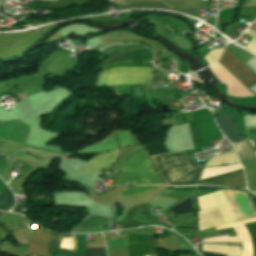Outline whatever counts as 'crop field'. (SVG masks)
<instances>
[{
	"instance_id": "crop-field-1",
	"label": "crop field",
	"mask_w": 256,
	"mask_h": 256,
	"mask_svg": "<svg viewBox=\"0 0 256 256\" xmlns=\"http://www.w3.org/2000/svg\"><path fill=\"white\" fill-rule=\"evenodd\" d=\"M220 192L234 221L256 217V209L247 193L230 190H221ZM220 192L198 197V206L200 210L217 207L223 222H231L233 220Z\"/></svg>"
},
{
	"instance_id": "crop-field-2",
	"label": "crop field",
	"mask_w": 256,
	"mask_h": 256,
	"mask_svg": "<svg viewBox=\"0 0 256 256\" xmlns=\"http://www.w3.org/2000/svg\"><path fill=\"white\" fill-rule=\"evenodd\" d=\"M152 159L168 185L196 184L201 174L200 165L183 151L153 156Z\"/></svg>"
},
{
	"instance_id": "crop-field-3",
	"label": "crop field",
	"mask_w": 256,
	"mask_h": 256,
	"mask_svg": "<svg viewBox=\"0 0 256 256\" xmlns=\"http://www.w3.org/2000/svg\"><path fill=\"white\" fill-rule=\"evenodd\" d=\"M143 147H139L122 161V175L113 183H159Z\"/></svg>"
},
{
	"instance_id": "crop-field-4",
	"label": "crop field",
	"mask_w": 256,
	"mask_h": 256,
	"mask_svg": "<svg viewBox=\"0 0 256 256\" xmlns=\"http://www.w3.org/2000/svg\"><path fill=\"white\" fill-rule=\"evenodd\" d=\"M152 85V73L145 67H119L102 70L97 85Z\"/></svg>"
},
{
	"instance_id": "crop-field-5",
	"label": "crop field",
	"mask_w": 256,
	"mask_h": 256,
	"mask_svg": "<svg viewBox=\"0 0 256 256\" xmlns=\"http://www.w3.org/2000/svg\"><path fill=\"white\" fill-rule=\"evenodd\" d=\"M245 171L248 189L256 193V149L254 140L233 144Z\"/></svg>"
},
{
	"instance_id": "crop-field-6",
	"label": "crop field",
	"mask_w": 256,
	"mask_h": 256,
	"mask_svg": "<svg viewBox=\"0 0 256 256\" xmlns=\"http://www.w3.org/2000/svg\"><path fill=\"white\" fill-rule=\"evenodd\" d=\"M256 218L241 220L231 223H226L220 226H216L215 229H223L233 227L237 236L242 241V253L241 256H252V248H251V239L252 238V247H253V256H256V222L247 224L246 227L250 232V235L244 224L254 222Z\"/></svg>"
},
{
	"instance_id": "crop-field-7",
	"label": "crop field",
	"mask_w": 256,
	"mask_h": 256,
	"mask_svg": "<svg viewBox=\"0 0 256 256\" xmlns=\"http://www.w3.org/2000/svg\"><path fill=\"white\" fill-rule=\"evenodd\" d=\"M219 62L246 87L256 83V76L253 74V72L229 51L224 50Z\"/></svg>"
},
{
	"instance_id": "crop-field-8",
	"label": "crop field",
	"mask_w": 256,
	"mask_h": 256,
	"mask_svg": "<svg viewBox=\"0 0 256 256\" xmlns=\"http://www.w3.org/2000/svg\"><path fill=\"white\" fill-rule=\"evenodd\" d=\"M199 184H214V185L245 187L242 170L220 175L210 179H206L199 182Z\"/></svg>"
},
{
	"instance_id": "crop-field-9",
	"label": "crop field",
	"mask_w": 256,
	"mask_h": 256,
	"mask_svg": "<svg viewBox=\"0 0 256 256\" xmlns=\"http://www.w3.org/2000/svg\"><path fill=\"white\" fill-rule=\"evenodd\" d=\"M145 1H153V0H145ZM113 4H124L130 2V0H112ZM125 6L134 9V8H163V9H171L175 11H179L181 13L189 14L194 17H198V8L195 9H184V10H177L174 8H170L169 6L165 5L160 1L154 2H135V3H128L124 4Z\"/></svg>"
},
{
	"instance_id": "crop-field-10",
	"label": "crop field",
	"mask_w": 256,
	"mask_h": 256,
	"mask_svg": "<svg viewBox=\"0 0 256 256\" xmlns=\"http://www.w3.org/2000/svg\"><path fill=\"white\" fill-rule=\"evenodd\" d=\"M51 236V234L36 228L26 252L47 256L46 250Z\"/></svg>"
},
{
	"instance_id": "crop-field-11",
	"label": "crop field",
	"mask_w": 256,
	"mask_h": 256,
	"mask_svg": "<svg viewBox=\"0 0 256 256\" xmlns=\"http://www.w3.org/2000/svg\"><path fill=\"white\" fill-rule=\"evenodd\" d=\"M219 127H221V130L223 133L227 136V138L231 142H236L242 140L240 135L237 133L235 129V121L233 117H223V116H217L215 117Z\"/></svg>"
},
{
	"instance_id": "crop-field-12",
	"label": "crop field",
	"mask_w": 256,
	"mask_h": 256,
	"mask_svg": "<svg viewBox=\"0 0 256 256\" xmlns=\"http://www.w3.org/2000/svg\"><path fill=\"white\" fill-rule=\"evenodd\" d=\"M198 217L199 231L223 223L216 208L207 211H200L198 212Z\"/></svg>"
},
{
	"instance_id": "crop-field-13",
	"label": "crop field",
	"mask_w": 256,
	"mask_h": 256,
	"mask_svg": "<svg viewBox=\"0 0 256 256\" xmlns=\"http://www.w3.org/2000/svg\"><path fill=\"white\" fill-rule=\"evenodd\" d=\"M134 1H144V0H131V2H134ZM160 1L168 5L171 0H160ZM208 4L209 3L202 4L201 0H172L169 6L175 7L177 9H183V8H195V7L200 8Z\"/></svg>"
},
{
	"instance_id": "crop-field-14",
	"label": "crop field",
	"mask_w": 256,
	"mask_h": 256,
	"mask_svg": "<svg viewBox=\"0 0 256 256\" xmlns=\"http://www.w3.org/2000/svg\"><path fill=\"white\" fill-rule=\"evenodd\" d=\"M233 162H238L234 150L212 156L206 166Z\"/></svg>"
},
{
	"instance_id": "crop-field-15",
	"label": "crop field",
	"mask_w": 256,
	"mask_h": 256,
	"mask_svg": "<svg viewBox=\"0 0 256 256\" xmlns=\"http://www.w3.org/2000/svg\"><path fill=\"white\" fill-rule=\"evenodd\" d=\"M108 218L90 216L85 220L79 229L107 226Z\"/></svg>"
},
{
	"instance_id": "crop-field-16",
	"label": "crop field",
	"mask_w": 256,
	"mask_h": 256,
	"mask_svg": "<svg viewBox=\"0 0 256 256\" xmlns=\"http://www.w3.org/2000/svg\"><path fill=\"white\" fill-rule=\"evenodd\" d=\"M168 211L172 216L191 212V198L177 204Z\"/></svg>"
},
{
	"instance_id": "crop-field-17",
	"label": "crop field",
	"mask_w": 256,
	"mask_h": 256,
	"mask_svg": "<svg viewBox=\"0 0 256 256\" xmlns=\"http://www.w3.org/2000/svg\"><path fill=\"white\" fill-rule=\"evenodd\" d=\"M13 204V196L6 187L1 193H0V208H9Z\"/></svg>"
},
{
	"instance_id": "crop-field-18",
	"label": "crop field",
	"mask_w": 256,
	"mask_h": 256,
	"mask_svg": "<svg viewBox=\"0 0 256 256\" xmlns=\"http://www.w3.org/2000/svg\"><path fill=\"white\" fill-rule=\"evenodd\" d=\"M159 186H138L135 188H131V189H127V190H123L121 191V196L123 197H127L133 194H137V193H141L144 191H148V190H152L155 188H158Z\"/></svg>"
},
{
	"instance_id": "crop-field-19",
	"label": "crop field",
	"mask_w": 256,
	"mask_h": 256,
	"mask_svg": "<svg viewBox=\"0 0 256 256\" xmlns=\"http://www.w3.org/2000/svg\"><path fill=\"white\" fill-rule=\"evenodd\" d=\"M129 256L145 255L143 243H128Z\"/></svg>"
},
{
	"instance_id": "crop-field-20",
	"label": "crop field",
	"mask_w": 256,
	"mask_h": 256,
	"mask_svg": "<svg viewBox=\"0 0 256 256\" xmlns=\"http://www.w3.org/2000/svg\"><path fill=\"white\" fill-rule=\"evenodd\" d=\"M57 237H58V236H54V237H53V240H52V244H51V248H50V249H54V248H55V244H56V241H57ZM66 237H72L73 249H71V250H67V249H63V248H58L61 238H66ZM75 248H76L75 236H59V237H58V241H57V244H56V248H55V249H58V250H66V251H75Z\"/></svg>"
},
{
	"instance_id": "crop-field-21",
	"label": "crop field",
	"mask_w": 256,
	"mask_h": 256,
	"mask_svg": "<svg viewBox=\"0 0 256 256\" xmlns=\"http://www.w3.org/2000/svg\"><path fill=\"white\" fill-rule=\"evenodd\" d=\"M136 233L155 234L154 228H143V229H133V230L122 231L120 232V235H129V234H136Z\"/></svg>"
},
{
	"instance_id": "crop-field-22",
	"label": "crop field",
	"mask_w": 256,
	"mask_h": 256,
	"mask_svg": "<svg viewBox=\"0 0 256 256\" xmlns=\"http://www.w3.org/2000/svg\"><path fill=\"white\" fill-rule=\"evenodd\" d=\"M215 241H240L238 237H228V235L206 238L204 242H215Z\"/></svg>"
},
{
	"instance_id": "crop-field-23",
	"label": "crop field",
	"mask_w": 256,
	"mask_h": 256,
	"mask_svg": "<svg viewBox=\"0 0 256 256\" xmlns=\"http://www.w3.org/2000/svg\"><path fill=\"white\" fill-rule=\"evenodd\" d=\"M108 256H128L127 248L107 250Z\"/></svg>"
},
{
	"instance_id": "crop-field-24",
	"label": "crop field",
	"mask_w": 256,
	"mask_h": 256,
	"mask_svg": "<svg viewBox=\"0 0 256 256\" xmlns=\"http://www.w3.org/2000/svg\"><path fill=\"white\" fill-rule=\"evenodd\" d=\"M104 250L103 249H88L84 250L82 256H97V255H103Z\"/></svg>"
},
{
	"instance_id": "crop-field-25",
	"label": "crop field",
	"mask_w": 256,
	"mask_h": 256,
	"mask_svg": "<svg viewBox=\"0 0 256 256\" xmlns=\"http://www.w3.org/2000/svg\"><path fill=\"white\" fill-rule=\"evenodd\" d=\"M133 220H137V221H140V222H143V223L151 224V223L155 222L157 219L149 218V217L142 216V215H139V214H135L134 217H133Z\"/></svg>"
},
{
	"instance_id": "crop-field-26",
	"label": "crop field",
	"mask_w": 256,
	"mask_h": 256,
	"mask_svg": "<svg viewBox=\"0 0 256 256\" xmlns=\"http://www.w3.org/2000/svg\"><path fill=\"white\" fill-rule=\"evenodd\" d=\"M7 164L4 162L3 158L0 157V174H2L7 168Z\"/></svg>"
},
{
	"instance_id": "crop-field-27",
	"label": "crop field",
	"mask_w": 256,
	"mask_h": 256,
	"mask_svg": "<svg viewBox=\"0 0 256 256\" xmlns=\"http://www.w3.org/2000/svg\"><path fill=\"white\" fill-rule=\"evenodd\" d=\"M198 189L216 190V187L198 186Z\"/></svg>"
},
{
	"instance_id": "crop-field-28",
	"label": "crop field",
	"mask_w": 256,
	"mask_h": 256,
	"mask_svg": "<svg viewBox=\"0 0 256 256\" xmlns=\"http://www.w3.org/2000/svg\"><path fill=\"white\" fill-rule=\"evenodd\" d=\"M202 256H224V255L203 252Z\"/></svg>"
},
{
	"instance_id": "crop-field-29",
	"label": "crop field",
	"mask_w": 256,
	"mask_h": 256,
	"mask_svg": "<svg viewBox=\"0 0 256 256\" xmlns=\"http://www.w3.org/2000/svg\"><path fill=\"white\" fill-rule=\"evenodd\" d=\"M242 5V4H241ZM242 6H256V2H247V3H243Z\"/></svg>"
},
{
	"instance_id": "crop-field-30",
	"label": "crop field",
	"mask_w": 256,
	"mask_h": 256,
	"mask_svg": "<svg viewBox=\"0 0 256 256\" xmlns=\"http://www.w3.org/2000/svg\"><path fill=\"white\" fill-rule=\"evenodd\" d=\"M106 228H102V229H95V230H90V231H84V232H102V231H106Z\"/></svg>"
},
{
	"instance_id": "crop-field-31",
	"label": "crop field",
	"mask_w": 256,
	"mask_h": 256,
	"mask_svg": "<svg viewBox=\"0 0 256 256\" xmlns=\"http://www.w3.org/2000/svg\"><path fill=\"white\" fill-rule=\"evenodd\" d=\"M6 185L0 180V191L5 187Z\"/></svg>"
},
{
	"instance_id": "crop-field-32",
	"label": "crop field",
	"mask_w": 256,
	"mask_h": 256,
	"mask_svg": "<svg viewBox=\"0 0 256 256\" xmlns=\"http://www.w3.org/2000/svg\"><path fill=\"white\" fill-rule=\"evenodd\" d=\"M252 195V194H251ZM254 201H255V205H256V196L255 195H252Z\"/></svg>"
},
{
	"instance_id": "crop-field-33",
	"label": "crop field",
	"mask_w": 256,
	"mask_h": 256,
	"mask_svg": "<svg viewBox=\"0 0 256 256\" xmlns=\"http://www.w3.org/2000/svg\"><path fill=\"white\" fill-rule=\"evenodd\" d=\"M170 59H172V58H170ZM173 60V59H172ZM174 61V60H173ZM174 62H176V61H174ZM177 63V62H176Z\"/></svg>"
},
{
	"instance_id": "crop-field-34",
	"label": "crop field",
	"mask_w": 256,
	"mask_h": 256,
	"mask_svg": "<svg viewBox=\"0 0 256 256\" xmlns=\"http://www.w3.org/2000/svg\"><path fill=\"white\" fill-rule=\"evenodd\" d=\"M0 242H1V239H0Z\"/></svg>"
},
{
	"instance_id": "crop-field-35",
	"label": "crop field",
	"mask_w": 256,
	"mask_h": 256,
	"mask_svg": "<svg viewBox=\"0 0 256 256\" xmlns=\"http://www.w3.org/2000/svg\"><path fill=\"white\" fill-rule=\"evenodd\" d=\"M1 213V212H0Z\"/></svg>"
}]
</instances>
